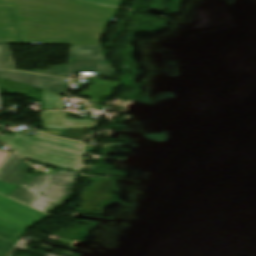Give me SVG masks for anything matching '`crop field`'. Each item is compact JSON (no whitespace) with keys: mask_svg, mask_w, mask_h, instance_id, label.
<instances>
[{"mask_svg":"<svg viewBox=\"0 0 256 256\" xmlns=\"http://www.w3.org/2000/svg\"><path fill=\"white\" fill-rule=\"evenodd\" d=\"M0 69L15 70L7 44H0Z\"/></svg>","mask_w":256,"mask_h":256,"instance_id":"crop-field-13","label":"crop field"},{"mask_svg":"<svg viewBox=\"0 0 256 256\" xmlns=\"http://www.w3.org/2000/svg\"><path fill=\"white\" fill-rule=\"evenodd\" d=\"M47 110H65L59 94L43 91Z\"/></svg>","mask_w":256,"mask_h":256,"instance_id":"crop-field-12","label":"crop field"},{"mask_svg":"<svg viewBox=\"0 0 256 256\" xmlns=\"http://www.w3.org/2000/svg\"><path fill=\"white\" fill-rule=\"evenodd\" d=\"M18 185L0 181V193L6 195L16 189Z\"/></svg>","mask_w":256,"mask_h":256,"instance_id":"crop-field-15","label":"crop field"},{"mask_svg":"<svg viewBox=\"0 0 256 256\" xmlns=\"http://www.w3.org/2000/svg\"><path fill=\"white\" fill-rule=\"evenodd\" d=\"M0 77L11 79L22 84L43 88L60 94H65L69 86V82H65V80L62 79L25 73L0 71Z\"/></svg>","mask_w":256,"mask_h":256,"instance_id":"crop-field-5","label":"crop field"},{"mask_svg":"<svg viewBox=\"0 0 256 256\" xmlns=\"http://www.w3.org/2000/svg\"><path fill=\"white\" fill-rule=\"evenodd\" d=\"M10 6L21 41L100 44L118 9L71 0H0Z\"/></svg>","mask_w":256,"mask_h":256,"instance_id":"crop-field-1","label":"crop field"},{"mask_svg":"<svg viewBox=\"0 0 256 256\" xmlns=\"http://www.w3.org/2000/svg\"><path fill=\"white\" fill-rule=\"evenodd\" d=\"M10 152L0 150V165L4 162V160L8 157Z\"/></svg>","mask_w":256,"mask_h":256,"instance_id":"crop-field-16","label":"crop field"},{"mask_svg":"<svg viewBox=\"0 0 256 256\" xmlns=\"http://www.w3.org/2000/svg\"><path fill=\"white\" fill-rule=\"evenodd\" d=\"M119 84L98 80L97 86L91 85L90 91H83L80 95L91 97V101L102 102L104 96L110 97L114 88H118Z\"/></svg>","mask_w":256,"mask_h":256,"instance_id":"crop-field-11","label":"crop field"},{"mask_svg":"<svg viewBox=\"0 0 256 256\" xmlns=\"http://www.w3.org/2000/svg\"><path fill=\"white\" fill-rule=\"evenodd\" d=\"M80 1L91 2V3L113 6V7H118L119 4L121 3V0H80Z\"/></svg>","mask_w":256,"mask_h":256,"instance_id":"crop-field-14","label":"crop field"},{"mask_svg":"<svg viewBox=\"0 0 256 256\" xmlns=\"http://www.w3.org/2000/svg\"><path fill=\"white\" fill-rule=\"evenodd\" d=\"M44 129L99 128L100 121L67 119L66 112H40Z\"/></svg>","mask_w":256,"mask_h":256,"instance_id":"crop-field-6","label":"crop field"},{"mask_svg":"<svg viewBox=\"0 0 256 256\" xmlns=\"http://www.w3.org/2000/svg\"><path fill=\"white\" fill-rule=\"evenodd\" d=\"M0 41L21 42L9 7L0 6Z\"/></svg>","mask_w":256,"mask_h":256,"instance_id":"crop-field-9","label":"crop field"},{"mask_svg":"<svg viewBox=\"0 0 256 256\" xmlns=\"http://www.w3.org/2000/svg\"><path fill=\"white\" fill-rule=\"evenodd\" d=\"M105 61L101 46H72L68 63Z\"/></svg>","mask_w":256,"mask_h":256,"instance_id":"crop-field-10","label":"crop field"},{"mask_svg":"<svg viewBox=\"0 0 256 256\" xmlns=\"http://www.w3.org/2000/svg\"><path fill=\"white\" fill-rule=\"evenodd\" d=\"M31 168L13 152L0 167V180L21 185L30 175L27 172Z\"/></svg>","mask_w":256,"mask_h":256,"instance_id":"crop-field-8","label":"crop field"},{"mask_svg":"<svg viewBox=\"0 0 256 256\" xmlns=\"http://www.w3.org/2000/svg\"><path fill=\"white\" fill-rule=\"evenodd\" d=\"M111 64L108 62H95V63H79L70 64V66L50 67L46 72L34 71L38 73L73 78L74 74L78 71H97V75L112 77L115 70L110 69Z\"/></svg>","mask_w":256,"mask_h":256,"instance_id":"crop-field-7","label":"crop field"},{"mask_svg":"<svg viewBox=\"0 0 256 256\" xmlns=\"http://www.w3.org/2000/svg\"><path fill=\"white\" fill-rule=\"evenodd\" d=\"M3 143L25 159L73 171H78L80 167L82 145L76 142L40 133L32 137L17 133Z\"/></svg>","mask_w":256,"mask_h":256,"instance_id":"crop-field-2","label":"crop field"},{"mask_svg":"<svg viewBox=\"0 0 256 256\" xmlns=\"http://www.w3.org/2000/svg\"><path fill=\"white\" fill-rule=\"evenodd\" d=\"M75 177L76 173L68 171L48 172L30 178L26 188L20 186L8 196L49 214L71 200Z\"/></svg>","mask_w":256,"mask_h":256,"instance_id":"crop-field-3","label":"crop field"},{"mask_svg":"<svg viewBox=\"0 0 256 256\" xmlns=\"http://www.w3.org/2000/svg\"><path fill=\"white\" fill-rule=\"evenodd\" d=\"M45 216L0 195V256H6L21 233Z\"/></svg>","mask_w":256,"mask_h":256,"instance_id":"crop-field-4","label":"crop field"}]
</instances>
